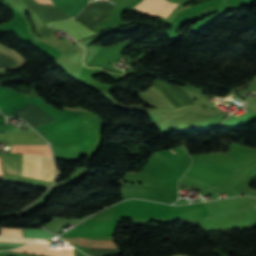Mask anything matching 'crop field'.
I'll list each match as a JSON object with an SVG mask.
<instances>
[{
    "label": "crop field",
    "mask_w": 256,
    "mask_h": 256,
    "mask_svg": "<svg viewBox=\"0 0 256 256\" xmlns=\"http://www.w3.org/2000/svg\"><path fill=\"white\" fill-rule=\"evenodd\" d=\"M65 240L87 248H116L111 240L93 241L86 238H69Z\"/></svg>",
    "instance_id": "f4fd0767"
},
{
    "label": "crop field",
    "mask_w": 256,
    "mask_h": 256,
    "mask_svg": "<svg viewBox=\"0 0 256 256\" xmlns=\"http://www.w3.org/2000/svg\"><path fill=\"white\" fill-rule=\"evenodd\" d=\"M0 54L7 56L11 60L15 61L19 65H24L25 61L21 57H19L16 53L10 51L9 49L0 45Z\"/></svg>",
    "instance_id": "e52e79f7"
},
{
    "label": "crop field",
    "mask_w": 256,
    "mask_h": 256,
    "mask_svg": "<svg viewBox=\"0 0 256 256\" xmlns=\"http://www.w3.org/2000/svg\"><path fill=\"white\" fill-rule=\"evenodd\" d=\"M12 251H22V252H29V253H33V254L46 255L48 250L19 248V249L12 250ZM47 255H49V256H74V251H73V249L51 246Z\"/></svg>",
    "instance_id": "412701ff"
},
{
    "label": "crop field",
    "mask_w": 256,
    "mask_h": 256,
    "mask_svg": "<svg viewBox=\"0 0 256 256\" xmlns=\"http://www.w3.org/2000/svg\"><path fill=\"white\" fill-rule=\"evenodd\" d=\"M35 244H45V245H50V241H46V240H39V241H35L33 242Z\"/></svg>",
    "instance_id": "d1516ede"
},
{
    "label": "crop field",
    "mask_w": 256,
    "mask_h": 256,
    "mask_svg": "<svg viewBox=\"0 0 256 256\" xmlns=\"http://www.w3.org/2000/svg\"><path fill=\"white\" fill-rule=\"evenodd\" d=\"M50 27L60 28L68 32L76 40L85 39L93 35H98L97 33L87 29L76 20H68L61 23L51 24Z\"/></svg>",
    "instance_id": "34b2d1b8"
},
{
    "label": "crop field",
    "mask_w": 256,
    "mask_h": 256,
    "mask_svg": "<svg viewBox=\"0 0 256 256\" xmlns=\"http://www.w3.org/2000/svg\"><path fill=\"white\" fill-rule=\"evenodd\" d=\"M223 118V115L219 117L212 118L208 123L204 124L203 126L199 127L196 130H202L208 128L210 125L217 124L221 119Z\"/></svg>",
    "instance_id": "3316defc"
},
{
    "label": "crop field",
    "mask_w": 256,
    "mask_h": 256,
    "mask_svg": "<svg viewBox=\"0 0 256 256\" xmlns=\"http://www.w3.org/2000/svg\"><path fill=\"white\" fill-rule=\"evenodd\" d=\"M256 114L245 112L240 116H229L219 127L233 129L250 121Z\"/></svg>",
    "instance_id": "dd49c442"
},
{
    "label": "crop field",
    "mask_w": 256,
    "mask_h": 256,
    "mask_svg": "<svg viewBox=\"0 0 256 256\" xmlns=\"http://www.w3.org/2000/svg\"><path fill=\"white\" fill-rule=\"evenodd\" d=\"M24 247H29V248H43V249H48L49 246H45V245H35V244H28Z\"/></svg>",
    "instance_id": "28ad6ade"
},
{
    "label": "crop field",
    "mask_w": 256,
    "mask_h": 256,
    "mask_svg": "<svg viewBox=\"0 0 256 256\" xmlns=\"http://www.w3.org/2000/svg\"><path fill=\"white\" fill-rule=\"evenodd\" d=\"M176 6V4L168 3L165 0H143L134 8L146 12L150 15L167 18Z\"/></svg>",
    "instance_id": "ac0d7876"
},
{
    "label": "crop field",
    "mask_w": 256,
    "mask_h": 256,
    "mask_svg": "<svg viewBox=\"0 0 256 256\" xmlns=\"http://www.w3.org/2000/svg\"><path fill=\"white\" fill-rule=\"evenodd\" d=\"M0 235L20 236V237H22V229H3V228H0Z\"/></svg>",
    "instance_id": "d8731c3e"
},
{
    "label": "crop field",
    "mask_w": 256,
    "mask_h": 256,
    "mask_svg": "<svg viewBox=\"0 0 256 256\" xmlns=\"http://www.w3.org/2000/svg\"><path fill=\"white\" fill-rule=\"evenodd\" d=\"M13 153L52 156L48 146H12ZM22 155V176L42 180V156ZM3 166L8 173L21 176V155L2 154Z\"/></svg>",
    "instance_id": "8a807250"
},
{
    "label": "crop field",
    "mask_w": 256,
    "mask_h": 256,
    "mask_svg": "<svg viewBox=\"0 0 256 256\" xmlns=\"http://www.w3.org/2000/svg\"><path fill=\"white\" fill-rule=\"evenodd\" d=\"M0 176H2L1 162H0Z\"/></svg>",
    "instance_id": "cbeb9de0"
},
{
    "label": "crop field",
    "mask_w": 256,
    "mask_h": 256,
    "mask_svg": "<svg viewBox=\"0 0 256 256\" xmlns=\"http://www.w3.org/2000/svg\"><path fill=\"white\" fill-rule=\"evenodd\" d=\"M0 241H5V242H16V243H29L34 240L32 239H18V238H10V237H0Z\"/></svg>",
    "instance_id": "5a996713"
},
{
    "label": "crop field",
    "mask_w": 256,
    "mask_h": 256,
    "mask_svg": "<svg viewBox=\"0 0 256 256\" xmlns=\"http://www.w3.org/2000/svg\"><path fill=\"white\" fill-rule=\"evenodd\" d=\"M39 4H51V0H36Z\"/></svg>",
    "instance_id": "22f410ed"
}]
</instances>
